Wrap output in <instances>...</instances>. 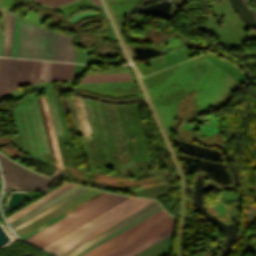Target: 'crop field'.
<instances>
[{"instance_id":"14","label":"crop field","mask_w":256,"mask_h":256,"mask_svg":"<svg viewBox=\"0 0 256 256\" xmlns=\"http://www.w3.org/2000/svg\"><path fill=\"white\" fill-rule=\"evenodd\" d=\"M173 229H174V227L168 229L167 231L161 233L160 235L154 237L153 239L147 241L146 243L140 245L139 247L135 248L134 250L128 252L127 254H125V255H123V256H132V255H134L135 253H137V252L143 250L144 248L150 246L151 244L157 242L158 240L164 238L165 236H167V235L173 233Z\"/></svg>"},{"instance_id":"1","label":"crop field","mask_w":256,"mask_h":256,"mask_svg":"<svg viewBox=\"0 0 256 256\" xmlns=\"http://www.w3.org/2000/svg\"><path fill=\"white\" fill-rule=\"evenodd\" d=\"M11 15L7 14L3 55H7ZM58 34L42 29L12 15L8 57L47 59L56 61ZM2 56V55H0Z\"/></svg>"},{"instance_id":"10","label":"crop field","mask_w":256,"mask_h":256,"mask_svg":"<svg viewBox=\"0 0 256 256\" xmlns=\"http://www.w3.org/2000/svg\"><path fill=\"white\" fill-rule=\"evenodd\" d=\"M73 64L52 62L51 81L72 79Z\"/></svg>"},{"instance_id":"6","label":"crop field","mask_w":256,"mask_h":256,"mask_svg":"<svg viewBox=\"0 0 256 256\" xmlns=\"http://www.w3.org/2000/svg\"><path fill=\"white\" fill-rule=\"evenodd\" d=\"M156 206H158L156 202L153 203V204H151V205H149L148 207H146V208L142 209L141 211L135 213L134 215H132V216L126 218L125 220L119 222L118 224L112 226L111 228L105 230L104 232L98 234L97 236L91 238L90 240H88V241L82 243L81 245L75 247L74 249L68 251L67 253H65V254H63V255H61V256H71V255H73L74 253L80 251L81 249L85 248L86 246L92 244L93 242L99 240L100 238L106 236L107 234L113 232L114 230H116V229H118L119 227L125 225L126 223L132 221L133 219L139 217L140 215L144 214L145 212L151 210L152 208H154V207H156Z\"/></svg>"},{"instance_id":"13","label":"crop field","mask_w":256,"mask_h":256,"mask_svg":"<svg viewBox=\"0 0 256 256\" xmlns=\"http://www.w3.org/2000/svg\"><path fill=\"white\" fill-rule=\"evenodd\" d=\"M9 59L0 58V99L6 95Z\"/></svg>"},{"instance_id":"9","label":"crop field","mask_w":256,"mask_h":256,"mask_svg":"<svg viewBox=\"0 0 256 256\" xmlns=\"http://www.w3.org/2000/svg\"><path fill=\"white\" fill-rule=\"evenodd\" d=\"M132 80L129 73L85 75L79 83Z\"/></svg>"},{"instance_id":"4","label":"crop field","mask_w":256,"mask_h":256,"mask_svg":"<svg viewBox=\"0 0 256 256\" xmlns=\"http://www.w3.org/2000/svg\"><path fill=\"white\" fill-rule=\"evenodd\" d=\"M125 198L106 193L26 240L42 247Z\"/></svg>"},{"instance_id":"5","label":"crop field","mask_w":256,"mask_h":256,"mask_svg":"<svg viewBox=\"0 0 256 256\" xmlns=\"http://www.w3.org/2000/svg\"><path fill=\"white\" fill-rule=\"evenodd\" d=\"M0 165L4 173L5 189L10 190H48L52 179L42 177L0 154Z\"/></svg>"},{"instance_id":"15","label":"crop field","mask_w":256,"mask_h":256,"mask_svg":"<svg viewBox=\"0 0 256 256\" xmlns=\"http://www.w3.org/2000/svg\"><path fill=\"white\" fill-rule=\"evenodd\" d=\"M51 62L40 61L38 82L50 81Z\"/></svg>"},{"instance_id":"3","label":"crop field","mask_w":256,"mask_h":256,"mask_svg":"<svg viewBox=\"0 0 256 256\" xmlns=\"http://www.w3.org/2000/svg\"><path fill=\"white\" fill-rule=\"evenodd\" d=\"M173 225L162 209L82 256H121Z\"/></svg>"},{"instance_id":"16","label":"crop field","mask_w":256,"mask_h":256,"mask_svg":"<svg viewBox=\"0 0 256 256\" xmlns=\"http://www.w3.org/2000/svg\"><path fill=\"white\" fill-rule=\"evenodd\" d=\"M84 190H86V188H83V189H81V190L77 191L76 193L72 194L71 196H69V197L65 198L64 200H62V201L58 202L57 204H55V205L51 206L50 208H48V209H46L45 211H43V212L39 213L38 215H36V216L32 217L31 219H29V220L25 221L24 223L20 224L19 226H17V227H15V228H13V230L15 231V230H17V229L21 228L22 226H24V225H26L27 223H29V222L33 221L34 219L38 218L39 216H41V215L45 214L46 212H48V211L52 210L53 208H55V207H57L58 205H60V204L64 203L65 201H67V200H69L70 198H72V197L76 196L77 194L81 193V192H82V191H84Z\"/></svg>"},{"instance_id":"12","label":"crop field","mask_w":256,"mask_h":256,"mask_svg":"<svg viewBox=\"0 0 256 256\" xmlns=\"http://www.w3.org/2000/svg\"><path fill=\"white\" fill-rule=\"evenodd\" d=\"M159 209H161V208H160V207H157V208L153 209L152 211H150V212L146 213L145 215L141 216L140 218L134 220L133 222H131V223L127 224L126 226L120 228L119 230L115 231L114 233L108 235L107 237H105V238L101 239L100 241L94 243L93 245L87 247L86 249L82 250L81 252L75 254L74 256H80V255L84 254L85 252H87V251H89L90 249L96 247L97 245H99V244H101L102 242L108 240L109 238H111V237H113L114 235L120 233L121 231H123V230H125L126 228L132 226L133 224H135V223H137L138 221L144 219L145 217L149 216L150 214L156 212V211L159 210Z\"/></svg>"},{"instance_id":"7","label":"crop field","mask_w":256,"mask_h":256,"mask_svg":"<svg viewBox=\"0 0 256 256\" xmlns=\"http://www.w3.org/2000/svg\"><path fill=\"white\" fill-rule=\"evenodd\" d=\"M74 50L71 38L59 34L57 61L73 62Z\"/></svg>"},{"instance_id":"8","label":"crop field","mask_w":256,"mask_h":256,"mask_svg":"<svg viewBox=\"0 0 256 256\" xmlns=\"http://www.w3.org/2000/svg\"><path fill=\"white\" fill-rule=\"evenodd\" d=\"M171 235L146 248L134 256H166L170 251Z\"/></svg>"},{"instance_id":"17","label":"crop field","mask_w":256,"mask_h":256,"mask_svg":"<svg viewBox=\"0 0 256 256\" xmlns=\"http://www.w3.org/2000/svg\"><path fill=\"white\" fill-rule=\"evenodd\" d=\"M37 1L57 7L73 0H37ZM91 1H93L95 5L101 4L99 0H91Z\"/></svg>"},{"instance_id":"2","label":"crop field","mask_w":256,"mask_h":256,"mask_svg":"<svg viewBox=\"0 0 256 256\" xmlns=\"http://www.w3.org/2000/svg\"><path fill=\"white\" fill-rule=\"evenodd\" d=\"M153 202L152 199L129 197L43 248L61 255Z\"/></svg>"},{"instance_id":"11","label":"crop field","mask_w":256,"mask_h":256,"mask_svg":"<svg viewBox=\"0 0 256 256\" xmlns=\"http://www.w3.org/2000/svg\"><path fill=\"white\" fill-rule=\"evenodd\" d=\"M68 187H70V185L64 184V185L60 186L59 188L55 189L54 191L43 196L42 198L38 199L37 201L31 203L30 205L26 206L25 208L21 209L20 211L16 212L15 214L6 218L8 223L13 221L14 219L18 218L19 216L25 214L26 212L30 211L31 209L35 208L36 206L40 205L41 203L45 202L46 200L50 199L51 197L62 192L63 190L67 189Z\"/></svg>"}]
</instances>
